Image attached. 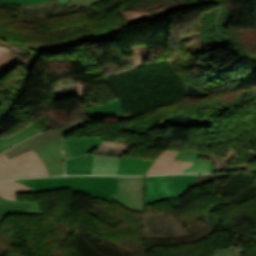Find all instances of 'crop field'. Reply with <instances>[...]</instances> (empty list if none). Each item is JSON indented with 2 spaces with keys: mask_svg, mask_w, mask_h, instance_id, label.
I'll list each match as a JSON object with an SVG mask.
<instances>
[{
  "mask_svg": "<svg viewBox=\"0 0 256 256\" xmlns=\"http://www.w3.org/2000/svg\"><path fill=\"white\" fill-rule=\"evenodd\" d=\"M117 178L105 176H71L15 181L24 183L37 192L70 187L75 191L91 194L111 203L117 188Z\"/></svg>",
  "mask_w": 256,
  "mask_h": 256,
  "instance_id": "obj_1",
  "label": "crop field"
},
{
  "mask_svg": "<svg viewBox=\"0 0 256 256\" xmlns=\"http://www.w3.org/2000/svg\"><path fill=\"white\" fill-rule=\"evenodd\" d=\"M5 163V165H2ZM49 175L44 162L33 151L23 153L9 160L0 154V179L35 177Z\"/></svg>",
  "mask_w": 256,
  "mask_h": 256,
  "instance_id": "obj_2",
  "label": "crop field"
},
{
  "mask_svg": "<svg viewBox=\"0 0 256 256\" xmlns=\"http://www.w3.org/2000/svg\"><path fill=\"white\" fill-rule=\"evenodd\" d=\"M114 200L130 210L144 212V176L119 177Z\"/></svg>",
  "mask_w": 256,
  "mask_h": 256,
  "instance_id": "obj_3",
  "label": "crop field"
},
{
  "mask_svg": "<svg viewBox=\"0 0 256 256\" xmlns=\"http://www.w3.org/2000/svg\"><path fill=\"white\" fill-rule=\"evenodd\" d=\"M33 150L45 162L50 175H64V158L71 157L64 137Z\"/></svg>",
  "mask_w": 256,
  "mask_h": 256,
  "instance_id": "obj_4",
  "label": "crop field"
},
{
  "mask_svg": "<svg viewBox=\"0 0 256 256\" xmlns=\"http://www.w3.org/2000/svg\"><path fill=\"white\" fill-rule=\"evenodd\" d=\"M178 197L170 176H145V204Z\"/></svg>",
  "mask_w": 256,
  "mask_h": 256,
  "instance_id": "obj_5",
  "label": "crop field"
},
{
  "mask_svg": "<svg viewBox=\"0 0 256 256\" xmlns=\"http://www.w3.org/2000/svg\"><path fill=\"white\" fill-rule=\"evenodd\" d=\"M72 130H74L73 126H69V127L54 130V131L44 132V133H41L33 138H29V139L25 140L24 142L8 149L7 151H5L3 153L10 159L14 156H17L23 152H26L28 150L35 148V147H38L40 145L51 142L65 134L69 133Z\"/></svg>",
  "mask_w": 256,
  "mask_h": 256,
  "instance_id": "obj_6",
  "label": "crop field"
},
{
  "mask_svg": "<svg viewBox=\"0 0 256 256\" xmlns=\"http://www.w3.org/2000/svg\"><path fill=\"white\" fill-rule=\"evenodd\" d=\"M178 152L175 150H165L146 174L179 172L192 164L191 162L172 160Z\"/></svg>",
  "mask_w": 256,
  "mask_h": 256,
  "instance_id": "obj_7",
  "label": "crop field"
},
{
  "mask_svg": "<svg viewBox=\"0 0 256 256\" xmlns=\"http://www.w3.org/2000/svg\"><path fill=\"white\" fill-rule=\"evenodd\" d=\"M10 213L42 214L38 201L4 200L0 196V221Z\"/></svg>",
  "mask_w": 256,
  "mask_h": 256,
  "instance_id": "obj_8",
  "label": "crop field"
},
{
  "mask_svg": "<svg viewBox=\"0 0 256 256\" xmlns=\"http://www.w3.org/2000/svg\"><path fill=\"white\" fill-rule=\"evenodd\" d=\"M153 162L149 159L121 157L117 175L145 174Z\"/></svg>",
  "mask_w": 256,
  "mask_h": 256,
  "instance_id": "obj_9",
  "label": "crop field"
},
{
  "mask_svg": "<svg viewBox=\"0 0 256 256\" xmlns=\"http://www.w3.org/2000/svg\"><path fill=\"white\" fill-rule=\"evenodd\" d=\"M200 153L189 152V151H180L177 156L174 158L176 160H184L195 162L191 166L187 167L181 173H204L215 171L212 161L197 160Z\"/></svg>",
  "mask_w": 256,
  "mask_h": 256,
  "instance_id": "obj_10",
  "label": "crop field"
},
{
  "mask_svg": "<svg viewBox=\"0 0 256 256\" xmlns=\"http://www.w3.org/2000/svg\"><path fill=\"white\" fill-rule=\"evenodd\" d=\"M103 138L101 137H83L66 139L71 156L86 154L99 147Z\"/></svg>",
  "mask_w": 256,
  "mask_h": 256,
  "instance_id": "obj_11",
  "label": "crop field"
},
{
  "mask_svg": "<svg viewBox=\"0 0 256 256\" xmlns=\"http://www.w3.org/2000/svg\"><path fill=\"white\" fill-rule=\"evenodd\" d=\"M119 161L120 157L94 155L92 174L116 175Z\"/></svg>",
  "mask_w": 256,
  "mask_h": 256,
  "instance_id": "obj_12",
  "label": "crop field"
},
{
  "mask_svg": "<svg viewBox=\"0 0 256 256\" xmlns=\"http://www.w3.org/2000/svg\"><path fill=\"white\" fill-rule=\"evenodd\" d=\"M93 155L87 154L66 160V175L91 174Z\"/></svg>",
  "mask_w": 256,
  "mask_h": 256,
  "instance_id": "obj_13",
  "label": "crop field"
},
{
  "mask_svg": "<svg viewBox=\"0 0 256 256\" xmlns=\"http://www.w3.org/2000/svg\"><path fill=\"white\" fill-rule=\"evenodd\" d=\"M89 120H93L100 117H105L113 114H124L119 100L116 99L109 103L100 106L84 108Z\"/></svg>",
  "mask_w": 256,
  "mask_h": 256,
  "instance_id": "obj_14",
  "label": "crop field"
},
{
  "mask_svg": "<svg viewBox=\"0 0 256 256\" xmlns=\"http://www.w3.org/2000/svg\"><path fill=\"white\" fill-rule=\"evenodd\" d=\"M22 192H34L31 188L12 181H0V195L4 199L17 200L16 194Z\"/></svg>",
  "mask_w": 256,
  "mask_h": 256,
  "instance_id": "obj_15",
  "label": "crop field"
},
{
  "mask_svg": "<svg viewBox=\"0 0 256 256\" xmlns=\"http://www.w3.org/2000/svg\"><path fill=\"white\" fill-rule=\"evenodd\" d=\"M38 133L34 123L27 126L25 129L22 131L18 132L17 134L5 139V138H0V152L12 147V145Z\"/></svg>",
  "mask_w": 256,
  "mask_h": 256,
  "instance_id": "obj_16",
  "label": "crop field"
},
{
  "mask_svg": "<svg viewBox=\"0 0 256 256\" xmlns=\"http://www.w3.org/2000/svg\"><path fill=\"white\" fill-rule=\"evenodd\" d=\"M179 197L185 195L199 175H170Z\"/></svg>",
  "mask_w": 256,
  "mask_h": 256,
  "instance_id": "obj_17",
  "label": "crop field"
},
{
  "mask_svg": "<svg viewBox=\"0 0 256 256\" xmlns=\"http://www.w3.org/2000/svg\"><path fill=\"white\" fill-rule=\"evenodd\" d=\"M244 249L240 247H228L214 250L210 256H240Z\"/></svg>",
  "mask_w": 256,
  "mask_h": 256,
  "instance_id": "obj_18",
  "label": "crop field"
},
{
  "mask_svg": "<svg viewBox=\"0 0 256 256\" xmlns=\"http://www.w3.org/2000/svg\"><path fill=\"white\" fill-rule=\"evenodd\" d=\"M100 1H102V0H71L70 3L64 8V10L69 8V7H72L74 5H76L79 9L82 6L88 8V7L98 3Z\"/></svg>",
  "mask_w": 256,
  "mask_h": 256,
  "instance_id": "obj_19",
  "label": "crop field"
},
{
  "mask_svg": "<svg viewBox=\"0 0 256 256\" xmlns=\"http://www.w3.org/2000/svg\"><path fill=\"white\" fill-rule=\"evenodd\" d=\"M50 0H0V2L9 3V4H19V5H31L40 2H45Z\"/></svg>",
  "mask_w": 256,
  "mask_h": 256,
  "instance_id": "obj_20",
  "label": "crop field"
},
{
  "mask_svg": "<svg viewBox=\"0 0 256 256\" xmlns=\"http://www.w3.org/2000/svg\"><path fill=\"white\" fill-rule=\"evenodd\" d=\"M58 2H60L63 6L67 4V2L69 0H57Z\"/></svg>",
  "mask_w": 256,
  "mask_h": 256,
  "instance_id": "obj_21",
  "label": "crop field"
},
{
  "mask_svg": "<svg viewBox=\"0 0 256 256\" xmlns=\"http://www.w3.org/2000/svg\"><path fill=\"white\" fill-rule=\"evenodd\" d=\"M251 239H253L254 241H256V235L253 236H249Z\"/></svg>",
  "mask_w": 256,
  "mask_h": 256,
  "instance_id": "obj_22",
  "label": "crop field"
},
{
  "mask_svg": "<svg viewBox=\"0 0 256 256\" xmlns=\"http://www.w3.org/2000/svg\"><path fill=\"white\" fill-rule=\"evenodd\" d=\"M252 234H256V229L254 231H252L251 233H249L248 235H252Z\"/></svg>",
  "mask_w": 256,
  "mask_h": 256,
  "instance_id": "obj_23",
  "label": "crop field"
},
{
  "mask_svg": "<svg viewBox=\"0 0 256 256\" xmlns=\"http://www.w3.org/2000/svg\"><path fill=\"white\" fill-rule=\"evenodd\" d=\"M4 131H6V130L0 127V133H2Z\"/></svg>",
  "mask_w": 256,
  "mask_h": 256,
  "instance_id": "obj_24",
  "label": "crop field"
}]
</instances>
